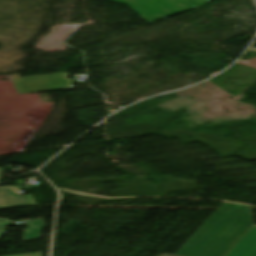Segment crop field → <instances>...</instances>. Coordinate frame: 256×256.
I'll return each mask as SVG.
<instances>
[{
	"mask_svg": "<svg viewBox=\"0 0 256 256\" xmlns=\"http://www.w3.org/2000/svg\"><path fill=\"white\" fill-rule=\"evenodd\" d=\"M9 220H6V219H0V238L8 224Z\"/></svg>",
	"mask_w": 256,
	"mask_h": 256,
	"instance_id": "e52e79f7",
	"label": "crop field"
},
{
	"mask_svg": "<svg viewBox=\"0 0 256 256\" xmlns=\"http://www.w3.org/2000/svg\"><path fill=\"white\" fill-rule=\"evenodd\" d=\"M18 94L72 89L68 73L20 78L18 74L9 75Z\"/></svg>",
	"mask_w": 256,
	"mask_h": 256,
	"instance_id": "34b2d1b8",
	"label": "crop field"
},
{
	"mask_svg": "<svg viewBox=\"0 0 256 256\" xmlns=\"http://www.w3.org/2000/svg\"><path fill=\"white\" fill-rule=\"evenodd\" d=\"M226 256H256V225L245 234Z\"/></svg>",
	"mask_w": 256,
	"mask_h": 256,
	"instance_id": "f4fd0767",
	"label": "crop field"
},
{
	"mask_svg": "<svg viewBox=\"0 0 256 256\" xmlns=\"http://www.w3.org/2000/svg\"><path fill=\"white\" fill-rule=\"evenodd\" d=\"M17 256H42V254L37 253V254H27V255H17Z\"/></svg>",
	"mask_w": 256,
	"mask_h": 256,
	"instance_id": "d8731c3e",
	"label": "crop field"
},
{
	"mask_svg": "<svg viewBox=\"0 0 256 256\" xmlns=\"http://www.w3.org/2000/svg\"><path fill=\"white\" fill-rule=\"evenodd\" d=\"M163 256H171V255L164 254Z\"/></svg>",
	"mask_w": 256,
	"mask_h": 256,
	"instance_id": "3316defc",
	"label": "crop field"
},
{
	"mask_svg": "<svg viewBox=\"0 0 256 256\" xmlns=\"http://www.w3.org/2000/svg\"><path fill=\"white\" fill-rule=\"evenodd\" d=\"M2 175H3V168H0V182H1V179H2Z\"/></svg>",
	"mask_w": 256,
	"mask_h": 256,
	"instance_id": "5a996713",
	"label": "crop field"
},
{
	"mask_svg": "<svg viewBox=\"0 0 256 256\" xmlns=\"http://www.w3.org/2000/svg\"><path fill=\"white\" fill-rule=\"evenodd\" d=\"M249 206L223 203L176 256H222L253 225Z\"/></svg>",
	"mask_w": 256,
	"mask_h": 256,
	"instance_id": "8a807250",
	"label": "crop field"
},
{
	"mask_svg": "<svg viewBox=\"0 0 256 256\" xmlns=\"http://www.w3.org/2000/svg\"><path fill=\"white\" fill-rule=\"evenodd\" d=\"M27 224L28 228L24 232V243L39 239L42 229L45 228L42 219L29 221Z\"/></svg>",
	"mask_w": 256,
	"mask_h": 256,
	"instance_id": "dd49c442",
	"label": "crop field"
},
{
	"mask_svg": "<svg viewBox=\"0 0 256 256\" xmlns=\"http://www.w3.org/2000/svg\"><path fill=\"white\" fill-rule=\"evenodd\" d=\"M128 5L149 22L199 7L210 0H107Z\"/></svg>",
	"mask_w": 256,
	"mask_h": 256,
	"instance_id": "ac0d7876",
	"label": "crop field"
},
{
	"mask_svg": "<svg viewBox=\"0 0 256 256\" xmlns=\"http://www.w3.org/2000/svg\"><path fill=\"white\" fill-rule=\"evenodd\" d=\"M33 204L31 195L20 196L19 192H13L12 186L0 188V210Z\"/></svg>",
	"mask_w": 256,
	"mask_h": 256,
	"instance_id": "412701ff",
	"label": "crop field"
}]
</instances>
